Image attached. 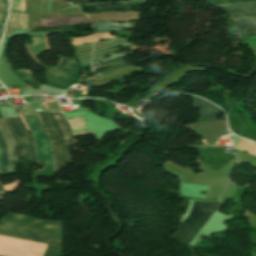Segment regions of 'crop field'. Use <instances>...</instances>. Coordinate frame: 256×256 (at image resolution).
I'll list each match as a JSON object with an SVG mask.
<instances>
[{
    "instance_id": "d9b57169",
    "label": "crop field",
    "mask_w": 256,
    "mask_h": 256,
    "mask_svg": "<svg viewBox=\"0 0 256 256\" xmlns=\"http://www.w3.org/2000/svg\"><path fill=\"white\" fill-rule=\"evenodd\" d=\"M107 38H113V36H111L109 33L94 35V41H98L100 39H107Z\"/></svg>"
},
{
    "instance_id": "214f88e0",
    "label": "crop field",
    "mask_w": 256,
    "mask_h": 256,
    "mask_svg": "<svg viewBox=\"0 0 256 256\" xmlns=\"http://www.w3.org/2000/svg\"><path fill=\"white\" fill-rule=\"evenodd\" d=\"M124 58H125V57H122V58H119V59H113V60L107 61L106 63H102L100 66L105 65V64H108V63H112V62H114V61L123 60Z\"/></svg>"
},
{
    "instance_id": "22f410ed",
    "label": "crop field",
    "mask_w": 256,
    "mask_h": 256,
    "mask_svg": "<svg viewBox=\"0 0 256 256\" xmlns=\"http://www.w3.org/2000/svg\"><path fill=\"white\" fill-rule=\"evenodd\" d=\"M8 0H0V24H4L7 16Z\"/></svg>"
},
{
    "instance_id": "34b2d1b8",
    "label": "crop field",
    "mask_w": 256,
    "mask_h": 256,
    "mask_svg": "<svg viewBox=\"0 0 256 256\" xmlns=\"http://www.w3.org/2000/svg\"><path fill=\"white\" fill-rule=\"evenodd\" d=\"M36 112L50 135L54 157V172H57L62 165L70 163L71 156L68 149L74 143L73 133L64 115ZM57 167L59 169L55 171Z\"/></svg>"
},
{
    "instance_id": "5142ce71",
    "label": "crop field",
    "mask_w": 256,
    "mask_h": 256,
    "mask_svg": "<svg viewBox=\"0 0 256 256\" xmlns=\"http://www.w3.org/2000/svg\"><path fill=\"white\" fill-rule=\"evenodd\" d=\"M144 2H137V3H133L131 5H122V6H112V5H108V6H87V7H81V9L84 8H88V7H97V8H123V7H130V6H134V5H142Z\"/></svg>"
},
{
    "instance_id": "5a996713",
    "label": "crop field",
    "mask_w": 256,
    "mask_h": 256,
    "mask_svg": "<svg viewBox=\"0 0 256 256\" xmlns=\"http://www.w3.org/2000/svg\"><path fill=\"white\" fill-rule=\"evenodd\" d=\"M13 29L28 30L27 14L11 12L4 39L13 36Z\"/></svg>"
},
{
    "instance_id": "d1516ede",
    "label": "crop field",
    "mask_w": 256,
    "mask_h": 256,
    "mask_svg": "<svg viewBox=\"0 0 256 256\" xmlns=\"http://www.w3.org/2000/svg\"><path fill=\"white\" fill-rule=\"evenodd\" d=\"M237 148L240 150H245V151L256 156V144H254L250 141H247L243 138L240 139Z\"/></svg>"
},
{
    "instance_id": "f4fd0767",
    "label": "crop field",
    "mask_w": 256,
    "mask_h": 256,
    "mask_svg": "<svg viewBox=\"0 0 256 256\" xmlns=\"http://www.w3.org/2000/svg\"><path fill=\"white\" fill-rule=\"evenodd\" d=\"M207 1L216 8L224 9L231 16L229 23L234 27L233 31L242 30L256 26V0L242 3H234L216 6L209 0Z\"/></svg>"
},
{
    "instance_id": "412701ff",
    "label": "crop field",
    "mask_w": 256,
    "mask_h": 256,
    "mask_svg": "<svg viewBox=\"0 0 256 256\" xmlns=\"http://www.w3.org/2000/svg\"><path fill=\"white\" fill-rule=\"evenodd\" d=\"M218 205V202L196 201L190 217L181 222L179 231L173 238L188 244L214 213Z\"/></svg>"
},
{
    "instance_id": "733c2abd",
    "label": "crop field",
    "mask_w": 256,
    "mask_h": 256,
    "mask_svg": "<svg viewBox=\"0 0 256 256\" xmlns=\"http://www.w3.org/2000/svg\"><path fill=\"white\" fill-rule=\"evenodd\" d=\"M123 66H134V65H131V64H121V65L112 66L111 68H108V69H104L103 71H94L92 73H103V72H106V71H109V70H112V69H115V68H118V67H123Z\"/></svg>"
},
{
    "instance_id": "dafd665d",
    "label": "crop field",
    "mask_w": 256,
    "mask_h": 256,
    "mask_svg": "<svg viewBox=\"0 0 256 256\" xmlns=\"http://www.w3.org/2000/svg\"><path fill=\"white\" fill-rule=\"evenodd\" d=\"M0 172H1V150H0Z\"/></svg>"
},
{
    "instance_id": "3316defc",
    "label": "crop field",
    "mask_w": 256,
    "mask_h": 256,
    "mask_svg": "<svg viewBox=\"0 0 256 256\" xmlns=\"http://www.w3.org/2000/svg\"><path fill=\"white\" fill-rule=\"evenodd\" d=\"M194 100H195L194 107L200 108L201 116L207 117L209 119H215L217 115L222 112L219 108L211 105L210 103L202 99L194 97Z\"/></svg>"
},
{
    "instance_id": "dd49c442",
    "label": "crop field",
    "mask_w": 256,
    "mask_h": 256,
    "mask_svg": "<svg viewBox=\"0 0 256 256\" xmlns=\"http://www.w3.org/2000/svg\"><path fill=\"white\" fill-rule=\"evenodd\" d=\"M22 117V115H21ZM35 139L38 162L43 165L53 166L52 149L48 134H45L44 128L41 125L38 117L24 116ZM22 117V119H23ZM23 119L27 129L28 126Z\"/></svg>"
},
{
    "instance_id": "ac0d7876",
    "label": "crop field",
    "mask_w": 256,
    "mask_h": 256,
    "mask_svg": "<svg viewBox=\"0 0 256 256\" xmlns=\"http://www.w3.org/2000/svg\"><path fill=\"white\" fill-rule=\"evenodd\" d=\"M32 39V45L26 43L25 48L31 58L39 65L45 67V80L48 82L47 85L67 90L80 75V64L76 61V58L58 56L60 59L58 65L55 67H47L37 59L41 53L47 51V48L48 51L50 50L47 38V48L44 36H32ZM63 61L67 62L64 66H62Z\"/></svg>"
},
{
    "instance_id": "bc2a9ffb",
    "label": "crop field",
    "mask_w": 256,
    "mask_h": 256,
    "mask_svg": "<svg viewBox=\"0 0 256 256\" xmlns=\"http://www.w3.org/2000/svg\"><path fill=\"white\" fill-rule=\"evenodd\" d=\"M89 1H113V0H86L84 2H89ZM72 4H76V3H81V2H77V1H71Z\"/></svg>"
},
{
    "instance_id": "cbeb9de0",
    "label": "crop field",
    "mask_w": 256,
    "mask_h": 256,
    "mask_svg": "<svg viewBox=\"0 0 256 256\" xmlns=\"http://www.w3.org/2000/svg\"><path fill=\"white\" fill-rule=\"evenodd\" d=\"M73 44L75 45H79V44H84V43H90L92 42V35L90 36H86V37H82V38H72Z\"/></svg>"
},
{
    "instance_id": "28ad6ade",
    "label": "crop field",
    "mask_w": 256,
    "mask_h": 256,
    "mask_svg": "<svg viewBox=\"0 0 256 256\" xmlns=\"http://www.w3.org/2000/svg\"><path fill=\"white\" fill-rule=\"evenodd\" d=\"M135 22L127 23V24L97 23V24H93V30H94V34H97V33L116 31L121 29H129V28H134Z\"/></svg>"
},
{
    "instance_id": "8a807250",
    "label": "crop field",
    "mask_w": 256,
    "mask_h": 256,
    "mask_svg": "<svg viewBox=\"0 0 256 256\" xmlns=\"http://www.w3.org/2000/svg\"><path fill=\"white\" fill-rule=\"evenodd\" d=\"M64 222L46 221L13 213L0 224V234L62 246Z\"/></svg>"
},
{
    "instance_id": "e52e79f7",
    "label": "crop field",
    "mask_w": 256,
    "mask_h": 256,
    "mask_svg": "<svg viewBox=\"0 0 256 256\" xmlns=\"http://www.w3.org/2000/svg\"><path fill=\"white\" fill-rule=\"evenodd\" d=\"M9 131L17 142L18 147L22 149V158L27 160H36L34 143L31 135L27 132L21 118L3 119Z\"/></svg>"
},
{
    "instance_id": "00972430",
    "label": "crop field",
    "mask_w": 256,
    "mask_h": 256,
    "mask_svg": "<svg viewBox=\"0 0 256 256\" xmlns=\"http://www.w3.org/2000/svg\"><path fill=\"white\" fill-rule=\"evenodd\" d=\"M65 1H67V0H65Z\"/></svg>"
},
{
    "instance_id": "4a817a6b",
    "label": "crop field",
    "mask_w": 256,
    "mask_h": 256,
    "mask_svg": "<svg viewBox=\"0 0 256 256\" xmlns=\"http://www.w3.org/2000/svg\"><path fill=\"white\" fill-rule=\"evenodd\" d=\"M17 184H18V181H16L14 184H12L10 186H5L4 189H5V191L15 190L17 188Z\"/></svg>"
},
{
    "instance_id": "d8731c3e",
    "label": "crop field",
    "mask_w": 256,
    "mask_h": 256,
    "mask_svg": "<svg viewBox=\"0 0 256 256\" xmlns=\"http://www.w3.org/2000/svg\"><path fill=\"white\" fill-rule=\"evenodd\" d=\"M0 133L2 134L9 150V172H14V162H18V159L13 155L14 148L17 146L12 136L5 127L1 117H0ZM0 134V146L2 149V172L8 174V150L7 146Z\"/></svg>"
},
{
    "instance_id": "92a150f3",
    "label": "crop field",
    "mask_w": 256,
    "mask_h": 256,
    "mask_svg": "<svg viewBox=\"0 0 256 256\" xmlns=\"http://www.w3.org/2000/svg\"><path fill=\"white\" fill-rule=\"evenodd\" d=\"M3 27L4 26H0V38H1L2 31H3Z\"/></svg>"
}]
</instances>
